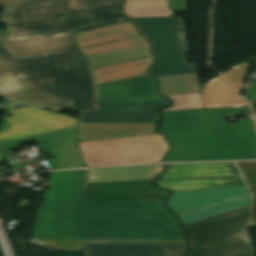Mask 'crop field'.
I'll return each mask as SVG.
<instances>
[{
  "instance_id": "1",
  "label": "crop field",
  "mask_w": 256,
  "mask_h": 256,
  "mask_svg": "<svg viewBox=\"0 0 256 256\" xmlns=\"http://www.w3.org/2000/svg\"><path fill=\"white\" fill-rule=\"evenodd\" d=\"M33 240L83 244H186L163 201L85 202L83 209H39Z\"/></svg>"
},
{
  "instance_id": "2",
  "label": "crop field",
  "mask_w": 256,
  "mask_h": 256,
  "mask_svg": "<svg viewBox=\"0 0 256 256\" xmlns=\"http://www.w3.org/2000/svg\"><path fill=\"white\" fill-rule=\"evenodd\" d=\"M20 76L36 90L7 98L57 111L94 108L93 80L79 50L18 59L0 48V80Z\"/></svg>"
},
{
  "instance_id": "3",
  "label": "crop field",
  "mask_w": 256,
  "mask_h": 256,
  "mask_svg": "<svg viewBox=\"0 0 256 256\" xmlns=\"http://www.w3.org/2000/svg\"><path fill=\"white\" fill-rule=\"evenodd\" d=\"M250 112L249 107L167 112L164 127L177 149L169 161L256 159L251 119L225 124L224 115Z\"/></svg>"
},
{
  "instance_id": "4",
  "label": "crop field",
  "mask_w": 256,
  "mask_h": 256,
  "mask_svg": "<svg viewBox=\"0 0 256 256\" xmlns=\"http://www.w3.org/2000/svg\"><path fill=\"white\" fill-rule=\"evenodd\" d=\"M122 0H48L7 8L5 22L13 37L81 31L129 19Z\"/></svg>"
},
{
  "instance_id": "5",
  "label": "crop field",
  "mask_w": 256,
  "mask_h": 256,
  "mask_svg": "<svg viewBox=\"0 0 256 256\" xmlns=\"http://www.w3.org/2000/svg\"><path fill=\"white\" fill-rule=\"evenodd\" d=\"M253 226L251 205L187 225L189 256H254L247 232Z\"/></svg>"
},
{
  "instance_id": "6",
  "label": "crop field",
  "mask_w": 256,
  "mask_h": 256,
  "mask_svg": "<svg viewBox=\"0 0 256 256\" xmlns=\"http://www.w3.org/2000/svg\"><path fill=\"white\" fill-rule=\"evenodd\" d=\"M12 117L3 118L11 126L0 129V141L17 140L76 127L79 121L69 116L27 106L7 111Z\"/></svg>"
},
{
  "instance_id": "7",
  "label": "crop field",
  "mask_w": 256,
  "mask_h": 256,
  "mask_svg": "<svg viewBox=\"0 0 256 256\" xmlns=\"http://www.w3.org/2000/svg\"><path fill=\"white\" fill-rule=\"evenodd\" d=\"M141 32L152 42V53L187 51L184 21L177 17L133 19Z\"/></svg>"
},
{
  "instance_id": "8",
  "label": "crop field",
  "mask_w": 256,
  "mask_h": 256,
  "mask_svg": "<svg viewBox=\"0 0 256 256\" xmlns=\"http://www.w3.org/2000/svg\"><path fill=\"white\" fill-rule=\"evenodd\" d=\"M152 180L87 184L85 201L164 200L169 194L151 185Z\"/></svg>"
},
{
  "instance_id": "9",
  "label": "crop field",
  "mask_w": 256,
  "mask_h": 256,
  "mask_svg": "<svg viewBox=\"0 0 256 256\" xmlns=\"http://www.w3.org/2000/svg\"><path fill=\"white\" fill-rule=\"evenodd\" d=\"M86 170L51 173L52 186L43 208H82Z\"/></svg>"
},
{
  "instance_id": "10",
  "label": "crop field",
  "mask_w": 256,
  "mask_h": 256,
  "mask_svg": "<svg viewBox=\"0 0 256 256\" xmlns=\"http://www.w3.org/2000/svg\"><path fill=\"white\" fill-rule=\"evenodd\" d=\"M18 58L78 49L74 32L0 39Z\"/></svg>"
},
{
  "instance_id": "11",
  "label": "crop field",
  "mask_w": 256,
  "mask_h": 256,
  "mask_svg": "<svg viewBox=\"0 0 256 256\" xmlns=\"http://www.w3.org/2000/svg\"><path fill=\"white\" fill-rule=\"evenodd\" d=\"M156 91V81L147 75L98 86L97 101L167 100Z\"/></svg>"
},
{
  "instance_id": "12",
  "label": "crop field",
  "mask_w": 256,
  "mask_h": 256,
  "mask_svg": "<svg viewBox=\"0 0 256 256\" xmlns=\"http://www.w3.org/2000/svg\"><path fill=\"white\" fill-rule=\"evenodd\" d=\"M212 191H216L217 194H212ZM247 193L246 186L173 192L167 204L173 212L179 215Z\"/></svg>"
},
{
  "instance_id": "13",
  "label": "crop field",
  "mask_w": 256,
  "mask_h": 256,
  "mask_svg": "<svg viewBox=\"0 0 256 256\" xmlns=\"http://www.w3.org/2000/svg\"><path fill=\"white\" fill-rule=\"evenodd\" d=\"M85 256H184L186 245H84Z\"/></svg>"
},
{
  "instance_id": "14",
  "label": "crop field",
  "mask_w": 256,
  "mask_h": 256,
  "mask_svg": "<svg viewBox=\"0 0 256 256\" xmlns=\"http://www.w3.org/2000/svg\"><path fill=\"white\" fill-rule=\"evenodd\" d=\"M158 124L80 123V142L126 136L155 134Z\"/></svg>"
},
{
  "instance_id": "15",
  "label": "crop field",
  "mask_w": 256,
  "mask_h": 256,
  "mask_svg": "<svg viewBox=\"0 0 256 256\" xmlns=\"http://www.w3.org/2000/svg\"><path fill=\"white\" fill-rule=\"evenodd\" d=\"M163 171V165L88 170L87 183L154 179ZM89 176L94 178L89 179Z\"/></svg>"
},
{
  "instance_id": "16",
  "label": "crop field",
  "mask_w": 256,
  "mask_h": 256,
  "mask_svg": "<svg viewBox=\"0 0 256 256\" xmlns=\"http://www.w3.org/2000/svg\"><path fill=\"white\" fill-rule=\"evenodd\" d=\"M161 179L240 175L234 163L171 164Z\"/></svg>"
},
{
  "instance_id": "17",
  "label": "crop field",
  "mask_w": 256,
  "mask_h": 256,
  "mask_svg": "<svg viewBox=\"0 0 256 256\" xmlns=\"http://www.w3.org/2000/svg\"><path fill=\"white\" fill-rule=\"evenodd\" d=\"M155 57H146L92 69L98 85L149 74Z\"/></svg>"
},
{
  "instance_id": "18",
  "label": "crop field",
  "mask_w": 256,
  "mask_h": 256,
  "mask_svg": "<svg viewBox=\"0 0 256 256\" xmlns=\"http://www.w3.org/2000/svg\"><path fill=\"white\" fill-rule=\"evenodd\" d=\"M78 47L84 48L106 42L138 36L131 21L75 33Z\"/></svg>"
},
{
  "instance_id": "19",
  "label": "crop field",
  "mask_w": 256,
  "mask_h": 256,
  "mask_svg": "<svg viewBox=\"0 0 256 256\" xmlns=\"http://www.w3.org/2000/svg\"><path fill=\"white\" fill-rule=\"evenodd\" d=\"M157 186L170 191L206 189L222 186L245 185L241 176L192 179L156 180Z\"/></svg>"
},
{
  "instance_id": "20",
  "label": "crop field",
  "mask_w": 256,
  "mask_h": 256,
  "mask_svg": "<svg viewBox=\"0 0 256 256\" xmlns=\"http://www.w3.org/2000/svg\"><path fill=\"white\" fill-rule=\"evenodd\" d=\"M80 122L159 123L158 112H84Z\"/></svg>"
},
{
  "instance_id": "21",
  "label": "crop field",
  "mask_w": 256,
  "mask_h": 256,
  "mask_svg": "<svg viewBox=\"0 0 256 256\" xmlns=\"http://www.w3.org/2000/svg\"><path fill=\"white\" fill-rule=\"evenodd\" d=\"M203 98L206 108L248 106L240 97L224 90L220 77L206 83Z\"/></svg>"
},
{
  "instance_id": "22",
  "label": "crop field",
  "mask_w": 256,
  "mask_h": 256,
  "mask_svg": "<svg viewBox=\"0 0 256 256\" xmlns=\"http://www.w3.org/2000/svg\"><path fill=\"white\" fill-rule=\"evenodd\" d=\"M250 204V194H247L202 209H198L186 214L179 215V218L182 220L183 225H185Z\"/></svg>"
},
{
  "instance_id": "23",
  "label": "crop field",
  "mask_w": 256,
  "mask_h": 256,
  "mask_svg": "<svg viewBox=\"0 0 256 256\" xmlns=\"http://www.w3.org/2000/svg\"><path fill=\"white\" fill-rule=\"evenodd\" d=\"M155 78L160 82V93L162 95L200 92L196 84L195 73L156 76Z\"/></svg>"
},
{
  "instance_id": "24",
  "label": "crop field",
  "mask_w": 256,
  "mask_h": 256,
  "mask_svg": "<svg viewBox=\"0 0 256 256\" xmlns=\"http://www.w3.org/2000/svg\"><path fill=\"white\" fill-rule=\"evenodd\" d=\"M158 60L150 72L155 75L196 72V66L186 64L184 52L155 54Z\"/></svg>"
},
{
  "instance_id": "25",
  "label": "crop field",
  "mask_w": 256,
  "mask_h": 256,
  "mask_svg": "<svg viewBox=\"0 0 256 256\" xmlns=\"http://www.w3.org/2000/svg\"><path fill=\"white\" fill-rule=\"evenodd\" d=\"M124 10L130 17L174 16L167 0H127Z\"/></svg>"
},
{
  "instance_id": "26",
  "label": "crop field",
  "mask_w": 256,
  "mask_h": 256,
  "mask_svg": "<svg viewBox=\"0 0 256 256\" xmlns=\"http://www.w3.org/2000/svg\"><path fill=\"white\" fill-rule=\"evenodd\" d=\"M52 151L54 159H48L51 169H66L82 166V155L78 146L42 149Z\"/></svg>"
},
{
  "instance_id": "27",
  "label": "crop field",
  "mask_w": 256,
  "mask_h": 256,
  "mask_svg": "<svg viewBox=\"0 0 256 256\" xmlns=\"http://www.w3.org/2000/svg\"><path fill=\"white\" fill-rule=\"evenodd\" d=\"M147 47H151L150 44L141 36H138L134 38H129L125 40H120L116 42H111V43H106L102 45L80 49V51L84 56H86L91 54H99V53L147 48Z\"/></svg>"
},
{
  "instance_id": "28",
  "label": "crop field",
  "mask_w": 256,
  "mask_h": 256,
  "mask_svg": "<svg viewBox=\"0 0 256 256\" xmlns=\"http://www.w3.org/2000/svg\"><path fill=\"white\" fill-rule=\"evenodd\" d=\"M150 48L147 49H139V50H131V51H123V52H115V53H107V54H99V55H91L88 56L90 60L91 67H99L103 65L118 63L122 61L137 59L141 57L151 56L152 54L149 52Z\"/></svg>"
},
{
  "instance_id": "29",
  "label": "crop field",
  "mask_w": 256,
  "mask_h": 256,
  "mask_svg": "<svg viewBox=\"0 0 256 256\" xmlns=\"http://www.w3.org/2000/svg\"><path fill=\"white\" fill-rule=\"evenodd\" d=\"M172 102H97V111H157Z\"/></svg>"
},
{
  "instance_id": "30",
  "label": "crop field",
  "mask_w": 256,
  "mask_h": 256,
  "mask_svg": "<svg viewBox=\"0 0 256 256\" xmlns=\"http://www.w3.org/2000/svg\"><path fill=\"white\" fill-rule=\"evenodd\" d=\"M78 127L59 132L36 136L38 144L42 148L77 145Z\"/></svg>"
},
{
  "instance_id": "31",
  "label": "crop field",
  "mask_w": 256,
  "mask_h": 256,
  "mask_svg": "<svg viewBox=\"0 0 256 256\" xmlns=\"http://www.w3.org/2000/svg\"><path fill=\"white\" fill-rule=\"evenodd\" d=\"M249 65L250 64L244 62L224 73L227 86L230 90L239 94L241 93L244 80L249 70V68H247Z\"/></svg>"
},
{
  "instance_id": "32",
  "label": "crop field",
  "mask_w": 256,
  "mask_h": 256,
  "mask_svg": "<svg viewBox=\"0 0 256 256\" xmlns=\"http://www.w3.org/2000/svg\"><path fill=\"white\" fill-rule=\"evenodd\" d=\"M166 97L175 101L172 108L167 110L204 108L200 93L189 95H172Z\"/></svg>"
},
{
  "instance_id": "33",
  "label": "crop field",
  "mask_w": 256,
  "mask_h": 256,
  "mask_svg": "<svg viewBox=\"0 0 256 256\" xmlns=\"http://www.w3.org/2000/svg\"><path fill=\"white\" fill-rule=\"evenodd\" d=\"M0 85L2 87L0 95L4 97L34 89L22 77L0 81Z\"/></svg>"
},
{
  "instance_id": "34",
  "label": "crop field",
  "mask_w": 256,
  "mask_h": 256,
  "mask_svg": "<svg viewBox=\"0 0 256 256\" xmlns=\"http://www.w3.org/2000/svg\"><path fill=\"white\" fill-rule=\"evenodd\" d=\"M36 141L35 136L18 140V141H5L0 142V155L4 158L12 156L11 151L21 147L25 143L34 142Z\"/></svg>"
},
{
  "instance_id": "35",
  "label": "crop field",
  "mask_w": 256,
  "mask_h": 256,
  "mask_svg": "<svg viewBox=\"0 0 256 256\" xmlns=\"http://www.w3.org/2000/svg\"><path fill=\"white\" fill-rule=\"evenodd\" d=\"M169 7L174 12H185L187 10L186 0H168Z\"/></svg>"
},
{
  "instance_id": "36",
  "label": "crop field",
  "mask_w": 256,
  "mask_h": 256,
  "mask_svg": "<svg viewBox=\"0 0 256 256\" xmlns=\"http://www.w3.org/2000/svg\"><path fill=\"white\" fill-rule=\"evenodd\" d=\"M34 1H40V0H0V3L3 6L8 7V6H13V5L34 2Z\"/></svg>"
},
{
  "instance_id": "37",
  "label": "crop field",
  "mask_w": 256,
  "mask_h": 256,
  "mask_svg": "<svg viewBox=\"0 0 256 256\" xmlns=\"http://www.w3.org/2000/svg\"><path fill=\"white\" fill-rule=\"evenodd\" d=\"M246 98L250 101L253 102L254 99L256 98V81L252 84Z\"/></svg>"
},
{
  "instance_id": "38",
  "label": "crop field",
  "mask_w": 256,
  "mask_h": 256,
  "mask_svg": "<svg viewBox=\"0 0 256 256\" xmlns=\"http://www.w3.org/2000/svg\"><path fill=\"white\" fill-rule=\"evenodd\" d=\"M34 242L43 243V244H50V245H55V246H58V247L65 248V245H64V244H61V243H55V242H49V241H43V240L34 241Z\"/></svg>"
},
{
  "instance_id": "39",
  "label": "crop field",
  "mask_w": 256,
  "mask_h": 256,
  "mask_svg": "<svg viewBox=\"0 0 256 256\" xmlns=\"http://www.w3.org/2000/svg\"><path fill=\"white\" fill-rule=\"evenodd\" d=\"M9 32L8 31H0V37H9Z\"/></svg>"
},
{
  "instance_id": "40",
  "label": "crop field",
  "mask_w": 256,
  "mask_h": 256,
  "mask_svg": "<svg viewBox=\"0 0 256 256\" xmlns=\"http://www.w3.org/2000/svg\"><path fill=\"white\" fill-rule=\"evenodd\" d=\"M2 159H3V158L0 156V163H2Z\"/></svg>"
},
{
  "instance_id": "41",
  "label": "crop field",
  "mask_w": 256,
  "mask_h": 256,
  "mask_svg": "<svg viewBox=\"0 0 256 256\" xmlns=\"http://www.w3.org/2000/svg\"><path fill=\"white\" fill-rule=\"evenodd\" d=\"M0 47H5V46H3V45L0 43Z\"/></svg>"
},
{
  "instance_id": "42",
  "label": "crop field",
  "mask_w": 256,
  "mask_h": 256,
  "mask_svg": "<svg viewBox=\"0 0 256 256\" xmlns=\"http://www.w3.org/2000/svg\"><path fill=\"white\" fill-rule=\"evenodd\" d=\"M256 63V62H255Z\"/></svg>"
}]
</instances>
